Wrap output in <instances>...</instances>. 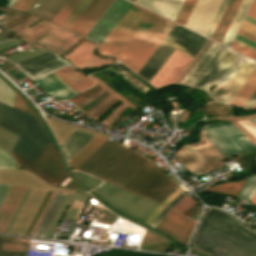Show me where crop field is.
<instances>
[{
  "label": "crop field",
  "instance_id": "obj_6",
  "mask_svg": "<svg viewBox=\"0 0 256 256\" xmlns=\"http://www.w3.org/2000/svg\"><path fill=\"white\" fill-rule=\"evenodd\" d=\"M206 40L176 24L137 74L150 82L175 48L194 58Z\"/></svg>",
  "mask_w": 256,
  "mask_h": 256
},
{
  "label": "crop field",
  "instance_id": "obj_38",
  "mask_svg": "<svg viewBox=\"0 0 256 256\" xmlns=\"http://www.w3.org/2000/svg\"><path fill=\"white\" fill-rule=\"evenodd\" d=\"M225 124L231 129V131L251 150H256V147L242 134L240 133L234 126H232L229 122H225Z\"/></svg>",
  "mask_w": 256,
  "mask_h": 256
},
{
  "label": "crop field",
  "instance_id": "obj_41",
  "mask_svg": "<svg viewBox=\"0 0 256 256\" xmlns=\"http://www.w3.org/2000/svg\"><path fill=\"white\" fill-rule=\"evenodd\" d=\"M35 2V0H17L12 8L28 11V9L32 6V4Z\"/></svg>",
  "mask_w": 256,
  "mask_h": 256
},
{
  "label": "crop field",
  "instance_id": "obj_30",
  "mask_svg": "<svg viewBox=\"0 0 256 256\" xmlns=\"http://www.w3.org/2000/svg\"><path fill=\"white\" fill-rule=\"evenodd\" d=\"M256 191V174H252L249 176L248 180L241 187L236 197L245 198L249 200V198Z\"/></svg>",
  "mask_w": 256,
  "mask_h": 256
},
{
  "label": "crop field",
  "instance_id": "obj_61",
  "mask_svg": "<svg viewBox=\"0 0 256 256\" xmlns=\"http://www.w3.org/2000/svg\"><path fill=\"white\" fill-rule=\"evenodd\" d=\"M131 1H133V2H134L135 0H131Z\"/></svg>",
  "mask_w": 256,
  "mask_h": 256
},
{
  "label": "crop field",
  "instance_id": "obj_29",
  "mask_svg": "<svg viewBox=\"0 0 256 256\" xmlns=\"http://www.w3.org/2000/svg\"><path fill=\"white\" fill-rule=\"evenodd\" d=\"M92 0H80L71 13L66 17L61 26L70 28Z\"/></svg>",
  "mask_w": 256,
  "mask_h": 256
},
{
  "label": "crop field",
  "instance_id": "obj_14",
  "mask_svg": "<svg viewBox=\"0 0 256 256\" xmlns=\"http://www.w3.org/2000/svg\"><path fill=\"white\" fill-rule=\"evenodd\" d=\"M113 0H93L72 29L86 35Z\"/></svg>",
  "mask_w": 256,
  "mask_h": 256
},
{
  "label": "crop field",
  "instance_id": "obj_22",
  "mask_svg": "<svg viewBox=\"0 0 256 256\" xmlns=\"http://www.w3.org/2000/svg\"><path fill=\"white\" fill-rule=\"evenodd\" d=\"M93 136L94 134L76 130L61 146L67 161H69Z\"/></svg>",
  "mask_w": 256,
  "mask_h": 256
},
{
  "label": "crop field",
  "instance_id": "obj_15",
  "mask_svg": "<svg viewBox=\"0 0 256 256\" xmlns=\"http://www.w3.org/2000/svg\"><path fill=\"white\" fill-rule=\"evenodd\" d=\"M57 75L53 72L43 75L41 77L33 79V81L38 84L43 90L48 94L55 96L61 100H64L76 92L71 89L67 84L61 81Z\"/></svg>",
  "mask_w": 256,
  "mask_h": 256
},
{
  "label": "crop field",
  "instance_id": "obj_43",
  "mask_svg": "<svg viewBox=\"0 0 256 256\" xmlns=\"http://www.w3.org/2000/svg\"><path fill=\"white\" fill-rule=\"evenodd\" d=\"M54 194H55V192H54V191H52V193H51V195H50V197H49V199H48V201H47L46 205L44 206V208H43V210H42V212H41V214H40V216H39L38 220L36 221V223H35V225H34V227H33L32 231H31L30 235H33V233H34V231H35V229H36L37 225L39 224V222H40V220H41V218H42L43 214L45 213V211H46V209H47V207H48L49 203L51 202V200H52V198H53Z\"/></svg>",
  "mask_w": 256,
  "mask_h": 256
},
{
  "label": "crop field",
  "instance_id": "obj_51",
  "mask_svg": "<svg viewBox=\"0 0 256 256\" xmlns=\"http://www.w3.org/2000/svg\"><path fill=\"white\" fill-rule=\"evenodd\" d=\"M9 188H10V186H8V185L0 184V205H1L2 201L4 200Z\"/></svg>",
  "mask_w": 256,
  "mask_h": 256
},
{
  "label": "crop field",
  "instance_id": "obj_7",
  "mask_svg": "<svg viewBox=\"0 0 256 256\" xmlns=\"http://www.w3.org/2000/svg\"><path fill=\"white\" fill-rule=\"evenodd\" d=\"M178 186L151 160L122 188L161 203Z\"/></svg>",
  "mask_w": 256,
  "mask_h": 256
},
{
  "label": "crop field",
  "instance_id": "obj_48",
  "mask_svg": "<svg viewBox=\"0 0 256 256\" xmlns=\"http://www.w3.org/2000/svg\"><path fill=\"white\" fill-rule=\"evenodd\" d=\"M235 40H237V41H239V42H241V43H243V44H245V45H247L251 48L256 49V43H254V42H252V41H250V40H248V39H246V38H244V37H242L238 34L236 35Z\"/></svg>",
  "mask_w": 256,
  "mask_h": 256
},
{
  "label": "crop field",
  "instance_id": "obj_12",
  "mask_svg": "<svg viewBox=\"0 0 256 256\" xmlns=\"http://www.w3.org/2000/svg\"><path fill=\"white\" fill-rule=\"evenodd\" d=\"M69 64L52 51L17 63L31 77L43 74L53 69Z\"/></svg>",
  "mask_w": 256,
  "mask_h": 256
},
{
  "label": "crop field",
  "instance_id": "obj_46",
  "mask_svg": "<svg viewBox=\"0 0 256 256\" xmlns=\"http://www.w3.org/2000/svg\"><path fill=\"white\" fill-rule=\"evenodd\" d=\"M164 208V206L162 205H158V207L153 211V213L146 219V221L144 223L150 225L151 222L157 217V215L162 211V209Z\"/></svg>",
  "mask_w": 256,
  "mask_h": 256
},
{
  "label": "crop field",
  "instance_id": "obj_2",
  "mask_svg": "<svg viewBox=\"0 0 256 256\" xmlns=\"http://www.w3.org/2000/svg\"><path fill=\"white\" fill-rule=\"evenodd\" d=\"M256 69V62L213 42L182 84L205 89L219 102L229 103Z\"/></svg>",
  "mask_w": 256,
  "mask_h": 256
},
{
  "label": "crop field",
  "instance_id": "obj_47",
  "mask_svg": "<svg viewBox=\"0 0 256 256\" xmlns=\"http://www.w3.org/2000/svg\"><path fill=\"white\" fill-rule=\"evenodd\" d=\"M169 211L170 209L165 207L163 211L158 215V217L153 221V223L151 222V226L156 228V226L163 220V218L168 214Z\"/></svg>",
  "mask_w": 256,
  "mask_h": 256
},
{
  "label": "crop field",
  "instance_id": "obj_60",
  "mask_svg": "<svg viewBox=\"0 0 256 256\" xmlns=\"http://www.w3.org/2000/svg\"><path fill=\"white\" fill-rule=\"evenodd\" d=\"M254 107H256V103L253 105V107H252V108H254Z\"/></svg>",
  "mask_w": 256,
  "mask_h": 256
},
{
  "label": "crop field",
  "instance_id": "obj_52",
  "mask_svg": "<svg viewBox=\"0 0 256 256\" xmlns=\"http://www.w3.org/2000/svg\"><path fill=\"white\" fill-rule=\"evenodd\" d=\"M13 106L24 111L25 103L22 101V99L17 94L15 95V100H14Z\"/></svg>",
  "mask_w": 256,
  "mask_h": 256
},
{
  "label": "crop field",
  "instance_id": "obj_49",
  "mask_svg": "<svg viewBox=\"0 0 256 256\" xmlns=\"http://www.w3.org/2000/svg\"><path fill=\"white\" fill-rule=\"evenodd\" d=\"M183 190L180 189L179 187L173 192L168 198H166L162 204L168 205L174 198H176Z\"/></svg>",
  "mask_w": 256,
  "mask_h": 256
},
{
  "label": "crop field",
  "instance_id": "obj_39",
  "mask_svg": "<svg viewBox=\"0 0 256 256\" xmlns=\"http://www.w3.org/2000/svg\"><path fill=\"white\" fill-rule=\"evenodd\" d=\"M203 133L206 135V137L209 139V141L212 143V145L217 149V151L222 155L223 158L227 157L226 153L223 151V149L220 147V145L217 143L213 135L210 133L206 125L202 129Z\"/></svg>",
  "mask_w": 256,
  "mask_h": 256
},
{
  "label": "crop field",
  "instance_id": "obj_21",
  "mask_svg": "<svg viewBox=\"0 0 256 256\" xmlns=\"http://www.w3.org/2000/svg\"><path fill=\"white\" fill-rule=\"evenodd\" d=\"M54 73H56L78 92L95 84L82 72L75 71L72 66H67L56 70Z\"/></svg>",
  "mask_w": 256,
  "mask_h": 256
},
{
  "label": "crop field",
  "instance_id": "obj_28",
  "mask_svg": "<svg viewBox=\"0 0 256 256\" xmlns=\"http://www.w3.org/2000/svg\"><path fill=\"white\" fill-rule=\"evenodd\" d=\"M250 2H251V0H243L242 1L234 19H233L225 37H224V39L222 41V44H224L226 46L230 45V43H231V41H232L236 31H237L242 19H243V16H244Z\"/></svg>",
  "mask_w": 256,
  "mask_h": 256
},
{
  "label": "crop field",
  "instance_id": "obj_56",
  "mask_svg": "<svg viewBox=\"0 0 256 256\" xmlns=\"http://www.w3.org/2000/svg\"><path fill=\"white\" fill-rule=\"evenodd\" d=\"M249 201L256 204V192L254 193V195L251 197V199Z\"/></svg>",
  "mask_w": 256,
  "mask_h": 256
},
{
  "label": "crop field",
  "instance_id": "obj_57",
  "mask_svg": "<svg viewBox=\"0 0 256 256\" xmlns=\"http://www.w3.org/2000/svg\"><path fill=\"white\" fill-rule=\"evenodd\" d=\"M245 20H247V21H249V22H251V23L256 25V21L251 19V18H249V17H247V16L245 17Z\"/></svg>",
  "mask_w": 256,
  "mask_h": 256
},
{
  "label": "crop field",
  "instance_id": "obj_37",
  "mask_svg": "<svg viewBox=\"0 0 256 256\" xmlns=\"http://www.w3.org/2000/svg\"><path fill=\"white\" fill-rule=\"evenodd\" d=\"M15 161L6 152L0 150V169L14 168Z\"/></svg>",
  "mask_w": 256,
  "mask_h": 256
},
{
  "label": "crop field",
  "instance_id": "obj_40",
  "mask_svg": "<svg viewBox=\"0 0 256 256\" xmlns=\"http://www.w3.org/2000/svg\"><path fill=\"white\" fill-rule=\"evenodd\" d=\"M228 1L229 0H223V2L221 4V7H220V9H219V11H218V13H217V15H216V17H215V19H214V21H213V23H212V25H211V27H210V29H209V31H208L206 36L211 37V35H212V33H213V31H214V29H215V27H216V25H217V23L219 21L222 13L224 11V9H225Z\"/></svg>",
  "mask_w": 256,
  "mask_h": 256
},
{
  "label": "crop field",
  "instance_id": "obj_11",
  "mask_svg": "<svg viewBox=\"0 0 256 256\" xmlns=\"http://www.w3.org/2000/svg\"><path fill=\"white\" fill-rule=\"evenodd\" d=\"M196 221L184 217L182 214L171 210L157 229L175 238L178 243L186 244Z\"/></svg>",
  "mask_w": 256,
  "mask_h": 256
},
{
  "label": "crop field",
  "instance_id": "obj_20",
  "mask_svg": "<svg viewBox=\"0 0 256 256\" xmlns=\"http://www.w3.org/2000/svg\"><path fill=\"white\" fill-rule=\"evenodd\" d=\"M30 239L0 236V256H26Z\"/></svg>",
  "mask_w": 256,
  "mask_h": 256
},
{
  "label": "crop field",
  "instance_id": "obj_4",
  "mask_svg": "<svg viewBox=\"0 0 256 256\" xmlns=\"http://www.w3.org/2000/svg\"><path fill=\"white\" fill-rule=\"evenodd\" d=\"M149 160L107 139L77 170L121 187Z\"/></svg>",
  "mask_w": 256,
  "mask_h": 256
},
{
  "label": "crop field",
  "instance_id": "obj_13",
  "mask_svg": "<svg viewBox=\"0 0 256 256\" xmlns=\"http://www.w3.org/2000/svg\"><path fill=\"white\" fill-rule=\"evenodd\" d=\"M207 127L228 156L250 152V150L229 130L224 123L207 125Z\"/></svg>",
  "mask_w": 256,
  "mask_h": 256
},
{
  "label": "crop field",
  "instance_id": "obj_59",
  "mask_svg": "<svg viewBox=\"0 0 256 256\" xmlns=\"http://www.w3.org/2000/svg\"><path fill=\"white\" fill-rule=\"evenodd\" d=\"M251 121H252V122H254V123L256 124V119H252Z\"/></svg>",
  "mask_w": 256,
  "mask_h": 256
},
{
  "label": "crop field",
  "instance_id": "obj_26",
  "mask_svg": "<svg viewBox=\"0 0 256 256\" xmlns=\"http://www.w3.org/2000/svg\"><path fill=\"white\" fill-rule=\"evenodd\" d=\"M213 169L223 165L222 158L201 132V141L195 144Z\"/></svg>",
  "mask_w": 256,
  "mask_h": 256
},
{
  "label": "crop field",
  "instance_id": "obj_44",
  "mask_svg": "<svg viewBox=\"0 0 256 256\" xmlns=\"http://www.w3.org/2000/svg\"><path fill=\"white\" fill-rule=\"evenodd\" d=\"M240 28L256 36L255 25L244 20Z\"/></svg>",
  "mask_w": 256,
  "mask_h": 256
},
{
  "label": "crop field",
  "instance_id": "obj_36",
  "mask_svg": "<svg viewBox=\"0 0 256 256\" xmlns=\"http://www.w3.org/2000/svg\"><path fill=\"white\" fill-rule=\"evenodd\" d=\"M197 0H188L179 19H178V23L182 24V25H185L195 3H196Z\"/></svg>",
  "mask_w": 256,
  "mask_h": 256
},
{
  "label": "crop field",
  "instance_id": "obj_50",
  "mask_svg": "<svg viewBox=\"0 0 256 256\" xmlns=\"http://www.w3.org/2000/svg\"><path fill=\"white\" fill-rule=\"evenodd\" d=\"M246 15L256 20V0H253Z\"/></svg>",
  "mask_w": 256,
  "mask_h": 256
},
{
  "label": "crop field",
  "instance_id": "obj_9",
  "mask_svg": "<svg viewBox=\"0 0 256 256\" xmlns=\"http://www.w3.org/2000/svg\"><path fill=\"white\" fill-rule=\"evenodd\" d=\"M131 4L128 0H114L86 36L101 43Z\"/></svg>",
  "mask_w": 256,
  "mask_h": 256
},
{
  "label": "crop field",
  "instance_id": "obj_32",
  "mask_svg": "<svg viewBox=\"0 0 256 256\" xmlns=\"http://www.w3.org/2000/svg\"><path fill=\"white\" fill-rule=\"evenodd\" d=\"M14 95L15 92L0 80V100L12 106Z\"/></svg>",
  "mask_w": 256,
  "mask_h": 256
},
{
  "label": "crop field",
  "instance_id": "obj_1",
  "mask_svg": "<svg viewBox=\"0 0 256 256\" xmlns=\"http://www.w3.org/2000/svg\"><path fill=\"white\" fill-rule=\"evenodd\" d=\"M175 23L132 4L99 46L136 73L174 27Z\"/></svg>",
  "mask_w": 256,
  "mask_h": 256
},
{
  "label": "crop field",
  "instance_id": "obj_35",
  "mask_svg": "<svg viewBox=\"0 0 256 256\" xmlns=\"http://www.w3.org/2000/svg\"><path fill=\"white\" fill-rule=\"evenodd\" d=\"M165 242H168V241L150 231H147L142 239L141 245L165 243Z\"/></svg>",
  "mask_w": 256,
  "mask_h": 256
},
{
  "label": "crop field",
  "instance_id": "obj_3",
  "mask_svg": "<svg viewBox=\"0 0 256 256\" xmlns=\"http://www.w3.org/2000/svg\"><path fill=\"white\" fill-rule=\"evenodd\" d=\"M192 245L210 255L256 256V233L228 214L208 207Z\"/></svg>",
  "mask_w": 256,
  "mask_h": 256
},
{
  "label": "crop field",
  "instance_id": "obj_25",
  "mask_svg": "<svg viewBox=\"0 0 256 256\" xmlns=\"http://www.w3.org/2000/svg\"><path fill=\"white\" fill-rule=\"evenodd\" d=\"M106 139L95 136L69 162L70 168L77 169Z\"/></svg>",
  "mask_w": 256,
  "mask_h": 256
},
{
  "label": "crop field",
  "instance_id": "obj_5",
  "mask_svg": "<svg viewBox=\"0 0 256 256\" xmlns=\"http://www.w3.org/2000/svg\"><path fill=\"white\" fill-rule=\"evenodd\" d=\"M0 107L30 120L28 123V120L0 108L1 128L20 137L28 123L17 144L15 145L13 152L33 161L38 153L50 140L45 129L39 122L38 118L30 114H27L1 102Z\"/></svg>",
  "mask_w": 256,
  "mask_h": 256
},
{
  "label": "crop field",
  "instance_id": "obj_58",
  "mask_svg": "<svg viewBox=\"0 0 256 256\" xmlns=\"http://www.w3.org/2000/svg\"><path fill=\"white\" fill-rule=\"evenodd\" d=\"M10 2L8 3V7H11L12 6V4L16 1V0H9Z\"/></svg>",
  "mask_w": 256,
  "mask_h": 256
},
{
  "label": "crop field",
  "instance_id": "obj_10",
  "mask_svg": "<svg viewBox=\"0 0 256 256\" xmlns=\"http://www.w3.org/2000/svg\"><path fill=\"white\" fill-rule=\"evenodd\" d=\"M221 2L222 0H198L185 26L205 36Z\"/></svg>",
  "mask_w": 256,
  "mask_h": 256
},
{
  "label": "crop field",
  "instance_id": "obj_18",
  "mask_svg": "<svg viewBox=\"0 0 256 256\" xmlns=\"http://www.w3.org/2000/svg\"><path fill=\"white\" fill-rule=\"evenodd\" d=\"M76 41H78V39L74 38L72 35L58 32L52 29L46 35L37 39L31 44L37 46L44 45L58 51L61 54Z\"/></svg>",
  "mask_w": 256,
  "mask_h": 256
},
{
  "label": "crop field",
  "instance_id": "obj_34",
  "mask_svg": "<svg viewBox=\"0 0 256 256\" xmlns=\"http://www.w3.org/2000/svg\"><path fill=\"white\" fill-rule=\"evenodd\" d=\"M231 48L256 60V50L251 49L237 41H233Z\"/></svg>",
  "mask_w": 256,
  "mask_h": 256
},
{
  "label": "crop field",
  "instance_id": "obj_24",
  "mask_svg": "<svg viewBox=\"0 0 256 256\" xmlns=\"http://www.w3.org/2000/svg\"><path fill=\"white\" fill-rule=\"evenodd\" d=\"M65 196V193L56 192L52 202L50 203L46 213L44 214L40 224L38 225L34 233L35 236L43 237L45 235Z\"/></svg>",
  "mask_w": 256,
  "mask_h": 256
},
{
  "label": "crop field",
  "instance_id": "obj_27",
  "mask_svg": "<svg viewBox=\"0 0 256 256\" xmlns=\"http://www.w3.org/2000/svg\"><path fill=\"white\" fill-rule=\"evenodd\" d=\"M256 90V70L231 100L230 103L243 107Z\"/></svg>",
  "mask_w": 256,
  "mask_h": 256
},
{
  "label": "crop field",
  "instance_id": "obj_23",
  "mask_svg": "<svg viewBox=\"0 0 256 256\" xmlns=\"http://www.w3.org/2000/svg\"><path fill=\"white\" fill-rule=\"evenodd\" d=\"M242 0H230L213 35L212 39L221 43Z\"/></svg>",
  "mask_w": 256,
  "mask_h": 256
},
{
  "label": "crop field",
  "instance_id": "obj_19",
  "mask_svg": "<svg viewBox=\"0 0 256 256\" xmlns=\"http://www.w3.org/2000/svg\"><path fill=\"white\" fill-rule=\"evenodd\" d=\"M135 2L174 21L184 0H136Z\"/></svg>",
  "mask_w": 256,
  "mask_h": 256
},
{
  "label": "crop field",
  "instance_id": "obj_55",
  "mask_svg": "<svg viewBox=\"0 0 256 256\" xmlns=\"http://www.w3.org/2000/svg\"><path fill=\"white\" fill-rule=\"evenodd\" d=\"M185 195L184 191L176 198L174 199L169 205L168 207L173 208L178 202L179 200Z\"/></svg>",
  "mask_w": 256,
  "mask_h": 256
},
{
  "label": "crop field",
  "instance_id": "obj_17",
  "mask_svg": "<svg viewBox=\"0 0 256 256\" xmlns=\"http://www.w3.org/2000/svg\"><path fill=\"white\" fill-rule=\"evenodd\" d=\"M178 160L190 171L203 169L204 172L212 170L211 166L201 155L194 144L183 146L176 153Z\"/></svg>",
  "mask_w": 256,
  "mask_h": 256
},
{
  "label": "crop field",
  "instance_id": "obj_54",
  "mask_svg": "<svg viewBox=\"0 0 256 256\" xmlns=\"http://www.w3.org/2000/svg\"><path fill=\"white\" fill-rule=\"evenodd\" d=\"M256 102V92L252 95L249 101L245 104L244 107L251 108L252 105Z\"/></svg>",
  "mask_w": 256,
  "mask_h": 256
},
{
  "label": "crop field",
  "instance_id": "obj_31",
  "mask_svg": "<svg viewBox=\"0 0 256 256\" xmlns=\"http://www.w3.org/2000/svg\"><path fill=\"white\" fill-rule=\"evenodd\" d=\"M79 0H68L62 9L57 13L53 18L52 22L60 25L65 17L70 13L74 6L78 3ZM63 23V22H62Z\"/></svg>",
  "mask_w": 256,
  "mask_h": 256
},
{
  "label": "crop field",
  "instance_id": "obj_8",
  "mask_svg": "<svg viewBox=\"0 0 256 256\" xmlns=\"http://www.w3.org/2000/svg\"><path fill=\"white\" fill-rule=\"evenodd\" d=\"M11 155L19 165L36 175L38 173L41 174L42 180L56 187L68 175L64 170L51 141H49L33 162L13 152Z\"/></svg>",
  "mask_w": 256,
  "mask_h": 256
},
{
  "label": "crop field",
  "instance_id": "obj_33",
  "mask_svg": "<svg viewBox=\"0 0 256 256\" xmlns=\"http://www.w3.org/2000/svg\"><path fill=\"white\" fill-rule=\"evenodd\" d=\"M195 204L196 202L186 194L174 209L186 215Z\"/></svg>",
  "mask_w": 256,
  "mask_h": 256
},
{
  "label": "crop field",
  "instance_id": "obj_53",
  "mask_svg": "<svg viewBox=\"0 0 256 256\" xmlns=\"http://www.w3.org/2000/svg\"><path fill=\"white\" fill-rule=\"evenodd\" d=\"M238 34H240V35H242V36H244V37H246V38H248V39H250V40L256 42V37H255V36H253V35H251V34L245 32V31H243V30H241V29H239Z\"/></svg>",
  "mask_w": 256,
  "mask_h": 256
},
{
  "label": "crop field",
  "instance_id": "obj_42",
  "mask_svg": "<svg viewBox=\"0 0 256 256\" xmlns=\"http://www.w3.org/2000/svg\"><path fill=\"white\" fill-rule=\"evenodd\" d=\"M90 77L92 79H94L98 84H100L105 90H107L110 94H112L113 96L117 97L118 99H120L121 101H123L124 103L128 104L131 107H135L133 106L131 103H129L127 100H125L124 98H122L120 95H118L116 92H114L113 90H111L109 87H107L105 84H103L102 82H100L98 79H96L94 76L90 75Z\"/></svg>",
  "mask_w": 256,
  "mask_h": 256
},
{
  "label": "crop field",
  "instance_id": "obj_45",
  "mask_svg": "<svg viewBox=\"0 0 256 256\" xmlns=\"http://www.w3.org/2000/svg\"><path fill=\"white\" fill-rule=\"evenodd\" d=\"M230 123L233 124L239 131H241L256 146V138H254L250 133H248L236 122H230Z\"/></svg>",
  "mask_w": 256,
  "mask_h": 256
},
{
  "label": "crop field",
  "instance_id": "obj_16",
  "mask_svg": "<svg viewBox=\"0 0 256 256\" xmlns=\"http://www.w3.org/2000/svg\"><path fill=\"white\" fill-rule=\"evenodd\" d=\"M26 188L11 186L0 207V232H5Z\"/></svg>",
  "mask_w": 256,
  "mask_h": 256
}]
</instances>
